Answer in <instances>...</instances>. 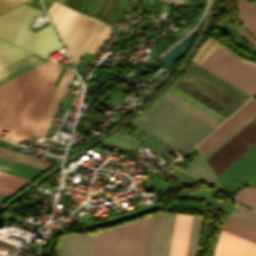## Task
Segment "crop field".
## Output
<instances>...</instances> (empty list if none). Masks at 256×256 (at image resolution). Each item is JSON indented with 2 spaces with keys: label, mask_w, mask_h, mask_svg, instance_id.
<instances>
[{
  "label": "crop field",
  "mask_w": 256,
  "mask_h": 256,
  "mask_svg": "<svg viewBox=\"0 0 256 256\" xmlns=\"http://www.w3.org/2000/svg\"><path fill=\"white\" fill-rule=\"evenodd\" d=\"M176 6H181L184 0H164Z\"/></svg>",
  "instance_id": "0bd39190"
},
{
  "label": "crop field",
  "mask_w": 256,
  "mask_h": 256,
  "mask_svg": "<svg viewBox=\"0 0 256 256\" xmlns=\"http://www.w3.org/2000/svg\"><path fill=\"white\" fill-rule=\"evenodd\" d=\"M94 234L64 235L59 242L58 256H90Z\"/></svg>",
  "instance_id": "22f410ed"
},
{
  "label": "crop field",
  "mask_w": 256,
  "mask_h": 256,
  "mask_svg": "<svg viewBox=\"0 0 256 256\" xmlns=\"http://www.w3.org/2000/svg\"><path fill=\"white\" fill-rule=\"evenodd\" d=\"M256 141V110L204 156L216 176Z\"/></svg>",
  "instance_id": "412701ff"
},
{
  "label": "crop field",
  "mask_w": 256,
  "mask_h": 256,
  "mask_svg": "<svg viewBox=\"0 0 256 256\" xmlns=\"http://www.w3.org/2000/svg\"><path fill=\"white\" fill-rule=\"evenodd\" d=\"M199 65L251 96L256 92V65L238 59L221 46Z\"/></svg>",
  "instance_id": "f4fd0767"
},
{
  "label": "crop field",
  "mask_w": 256,
  "mask_h": 256,
  "mask_svg": "<svg viewBox=\"0 0 256 256\" xmlns=\"http://www.w3.org/2000/svg\"><path fill=\"white\" fill-rule=\"evenodd\" d=\"M46 59L37 56L35 54H30L23 59L13 63L12 65L4 68L0 71V83L20 74L21 72L45 61Z\"/></svg>",
  "instance_id": "bc2a9ffb"
},
{
  "label": "crop field",
  "mask_w": 256,
  "mask_h": 256,
  "mask_svg": "<svg viewBox=\"0 0 256 256\" xmlns=\"http://www.w3.org/2000/svg\"><path fill=\"white\" fill-rule=\"evenodd\" d=\"M106 1H107V0H106ZM106 1H105V3H106ZM111 1H112V0H111ZM117 1H118V0H116V3H117ZM119 1H120V0H119ZM119 1H118L117 5H116V3H115L116 7H115V5H114L115 9H114V7H113L114 11H113L112 15L114 14V12H115V10H116V8H117V6H118V4H119ZM109 2H110V0L107 1V4H106L105 7H104V5H105V3H104V5H103L104 9H103V7H102L103 11H102V9H101L102 12L100 11L101 14H100V12H99L100 16H99V14H98V15H97V18H98V16H99V19H100V17H101V16L103 15V13L105 12V10H106V8H107ZM114 2H115V0H113L112 3L110 2V3H111V5L109 4V5H110V8L108 7L109 10H108V9H107L108 11L106 10V11H107V13L105 12L106 15H105V13H104V15H105V16L103 15L104 18H103V16H102L103 20H102V18H101V20H102L103 22H104V20L107 18V16L110 14L111 8H112ZM113 9H112V10H113ZM112 15H111V16L109 15L110 18L112 17ZM114 15H115V14H114ZM114 15H113V16H114ZM109 16H108V18H109ZM108 18H107V19H108ZM110 18H109V19H110ZM112 18H113V17H112ZM112 18H111V19H112ZM107 19H106V20H107ZM109 19L107 20V23H108ZM111 19H110V21H111ZM106 20H105V22H106ZM110 21H109V22H110ZM108 24H109V23H108Z\"/></svg>",
  "instance_id": "120bbe31"
},
{
  "label": "crop field",
  "mask_w": 256,
  "mask_h": 256,
  "mask_svg": "<svg viewBox=\"0 0 256 256\" xmlns=\"http://www.w3.org/2000/svg\"><path fill=\"white\" fill-rule=\"evenodd\" d=\"M184 171L207 181L208 183L212 184L213 186L217 187L218 189L224 192L222 186L214 177L206 161L197 157L191 164H189L184 169Z\"/></svg>",
  "instance_id": "92a150f3"
},
{
  "label": "crop field",
  "mask_w": 256,
  "mask_h": 256,
  "mask_svg": "<svg viewBox=\"0 0 256 256\" xmlns=\"http://www.w3.org/2000/svg\"><path fill=\"white\" fill-rule=\"evenodd\" d=\"M0 245H3L5 247L11 248V249L15 248V246H12V245H9V244L3 243V242H0Z\"/></svg>",
  "instance_id": "c035e120"
},
{
  "label": "crop field",
  "mask_w": 256,
  "mask_h": 256,
  "mask_svg": "<svg viewBox=\"0 0 256 256\" xmlns=\"http://www.w3.org/2000/svg\"><path fill=\"white\" fill-rule=\"evenodd\" d=\"M29 72L30 70L0 85V120L14 99L15 95L17 94L18 90L22 86Z\"/></svg>",
  "instance_id": "4a817a6b"
},
{
  "label": "crop field",
  "mask_w": 256,
  "mask_h": 256,
  "mask_svg": "<svg viewBox=\"0 0 256 256\" xmlns=\"http://www.w3.org/2000/svg\"><path fill=\"white\" fill-rule=\"evenodd\" d=\"M96 1H97V0L94 1V3H93V5H92L91 9L88 11L87 15H89V13H90V11L92 10L93 6L95 5ZM104 1H105V0L102 1V3H101V5H100L99 8H98V6H99L101 0H98V1H97L96 5L94 6L93 10H92L91 13H90L91 16H93V14L95 13V11H96L97 8H98V10L96 11V13L94 14V17H96V15H97L98 12L100 11V9H101V7H102Z\"/></svg>",
  "instance_id": "d32e631a"
},
{
  "label": "crop field",
  "mask_w": 256,
  "mask_h": 256,
  "mask_svg": "<svg viewBox=\"0 0 256 256\" xmlns=\"http://www.w3.org/2000/svg\"><path fill=\"white\" fill-rule=\"evenodd\" d=\"M7 197H8V195H4V194L0 193V202H2Z\"/></svg>",
  "instance_id": "c21b1889"
},
{
  "label": "crop field",
  "mask_w": 256,
  "mask_h": 256,
  "mask_svg": "<svg viewBox=\"0 0 256 256\" xmlns=\"http://www.w3.org/2000/svg\"><path fill=\"white\" fill-rule=\"evenodd\" d=\"M79 13L70 10L64 6L58 11V13L52 19L61 39L65 36L73 23L79 17Z\"/></svg>",
  "instance_id": "dafd665d"
},
{
  "label": "crop field",
  "mask_w": 256,
  "mask_h": 256,
  "mask_svg": "<svg viewBox=\"0 0 256 256\" xmlns=\"http://www.w3.org/2000/svg\"><path fill=\"white\" fill-rule=\"evenodd\" d=\"M123 1H124V0L121 1V5H122ZM121 5H120V7H121ZM119 9H120V8H119ZM118 11H119V10H118ZM117 13H118V12H117ZM117 13H116V15H117ZM116 15H115V16H116ZM115 16H114V18H115ZM114 18H113V19H114ZM113 19H112V21H113ZM112 21L110 22V25H111Z\"/></svg>",
  "instance_id": "b54c1fbb"
},
{
  "label": "crop field",
  "mask_w": 256,
  "mask_h": 256,
  "mask_svg": "<svg viewBox=\"0 0 256 256\" xmlns=\"http://www.w3.org/2000/svg\"><path fill=\"white\" fill-rule=\"evenodd\" d=\"M74 73V70L67 68L34 135L44 136Z\"/></svg>",
  "instance_id": "5142ce71"
},
{
  "label": "crop field",
  "mask_w": 256,
  "mask_h": 256,
  "mask_svg": "<svg viewBox=\"0 0 256 256\" xmlns=\"http://www.w3.org/2000/svg\"><path fill=\"white\" fill-rule=\"evenodd\" d=\"M141 1V0H140Z\"/></svg>",
  "instance_id": "89e229c0"
},
{
  "label": "crop field",
  "mask_w": 256,
  "mask_h": 256,
  "mask_svg": "<svg viewBox=\"0 0 256 256\" xmlns=\"http://www.w3.org/2000/svg\"><path fill=\"white\" fill-rule=\"evenodd\" d=\"M231 217L236 218L240 221H243L247 224H250L254 227H256V213L240 206V205H236V207L234 208Z\"/></svg>",
  "instance_id": "d3111659"
},
{
  "label": "crop field",
  "mask_w": 256,
  "mask_h": 256,
  "mask_svg": "<svg viewBox=\"0 0 256 256\" xmlns=\"http://www.w3.org/2000/svg\"><path fill=\"white\" fill-rule=\"evenodd\" d=\"M215 256H256V244L222 230Z\"/></svg>",
  "instance_id": "d1516ede"
},
{
  "label": "crop field",
  "mask_w": 256,
  "mask_h": 256,
  "mask_svg": "<svg viewBox=\"0 0 256 256\" xmlns=\"http://www.w3.org/2000/svg\"><path fill=\"white\" fill-rule=\"evenodd\" d=\"M79 1H80V0L77 1L76 5L74 6V9H75L76 6L78 5ZM82 1H83V0H81L80 4L82 3ZM87 1H88V0H84L83 3L81 4V6H80V4L77 6V8L80 6V7L78 8V11L81 12V10H82V9L84 8V6L86 5ZM77 8H76V10H77Z\"/></svg>",
  "instance_id": "e1f06a70"
},
{
  "label": "crop field",
  "mask_w": 256,
  "mask_h": 256,
  "mask_svg": "<svg viewBox=\"0 0 256 256\" xmlns=\"http://www.w3.org/2000/svg\"><path fill=\"white\" fill-rule=\"evenodd\" d=\"M65 1V0H64ZM67 1V0H66ZM64 3V2H63ZM66 3V2H65ZM65 5V4H64Z\"/></svg>",
  "instance_id": "73cf0c24"
},
{
  "label": "crop field",
  "mask_w": 256,
  "mask_h": 256,
  "mask_svg": "<svg viewBox=\"0 0 256 256\" xmlns=\"http://www.w3.org/2000/svg\"><path fill=\"white\" fill-rule=\"evenodd\" d=\"M202 217L193 216L186 256H196Z\"/></svg>",
  "instance_id": "ae1a2a85"
},
{
  "label": "crop field",
  "mask_w": 256,
  "mask_h": 256,
  "mask_svg": "<svg viewBox=\"0 0 256 256\" xmlns=\"http://www.w3.org/2000/svg\"><path fill=\"white\" fill-rule=\"evenodd\" d=\"M109 28H110V26L107 25V27L104 29V31L101 33V35L98 37V39L95 41V43L89 49V52L94 54V52L97 50V48L103 42V40L108 38V36L112 32V30H110Z\"/></svg>",
  "instance_id": "bd1437ed"
},
{
  "label": "crop field",
  "mask_w": 256,
  "mask_h": 256,
  "mask_svg": "<svg viewBox=\"0 0 256 256\" xmlns=\"http://www.w3.org/2000/svg\"><path fill=\"white\" fill-rule=\"evenodd\" d=\"M29 180L0 172V192L11 195Z\"/></svg>",
  "instance_id": "730fd06b"
},
{
  "label": "crop field",
  "mask_w": 256,
  "mask_h": 256,
  "mask_svg": "<svg viewBox=\"0 0 256 256\" xmlns=\"http://www.w3.org/2000/svg\"><path fill=\"white\" fill-rule=\"evenodd\" d=\"M76 1H77V0H72V2H71V0H70L71 4H70V2L68 1L69 4H70V7L73 8V6L75 5ZM67 4H68V3H67ZM69 4H68V6H69ZM70 7H69V8H70ZM72 8H71V9H72Z\"/></svg>",
  "instance_id": "03da06ac"
},
{
  "label": "crop field",
  "mask_w": 256,
  "mask_h": 256,
  "mask_svg": "<svg viewBox=\"0 0 256 256\" xmlns=\"http://www.w3.org/2000/svg\"><path fill=\"white\" fill-rule=\"evenodd\" d=\"M192 216L176 215L169 256H185Z\"/></svg>",
  "instance_id": "733c2abd"
},
{
  "label": "crop field",
  "mask_w": 256,
  "mask_h": 256,
  "mask_svg": "<svg viewBox=\"0 0 256 256\" xmlns=\"http://www.w3.org/2000/svg\"><path fill=\"white\" fill-rule=\"evenodd\" d=\"M52 61H48L40 79L38 80L36 86L34 87L33 91L31 92L30 96L28 97V99L26 100L25 104L23 105L22 109L20 110V112L18 113L17 117L15 118V120L13 121L12 125L10 126L9 130L7 131V133L4 136V139L9 140L10 136L12 135L13 131L15 130L16 126L18 125L19 121L21 120L23 114L25 113L26 109L28 108L29 104L31 103L32 99L34 98L41 82L43 81L50 65H51Z\"/></svg>",
  "instance_id": "eef30255"
},
{
  "label": "crop field",
  "mask_w": 256,
  "mask_h": 256,
  "mask_svg": "<svg viewBox=\"0 0 256 256\" xmlns=\"http://www.w3.org/2000/svg\"><path fill=\"white\" fill-rule=\"evenodd\" d=\"M234 198L256 210V187L242 189Z\"/></svg>",
  "instance_id": "750c4746"
},
{
  "label": "crop field",
  "mask_w": 256,
  "mask_h": 256,
  "mask_svg": "<svg viewBox=\"0 0 256 256\" xmlns=\"http://www.w3.org/2000/svg\"><path fill=\"white\" fill-rule=\"evenodd\" d=\"M46 62L47 61L33 67L31 73L27 77L26 81L24 82L23 86L21 87L20 91L18 92L16 98L14 99L13 103L11 104L9 110L7 111L6 115L4 116L2 122L0 123V132L2 129L8 130L13 119L15 118L16 114L18 113L19 109L21 108L22 104L24 103L26 97L28 96L29 92L31 91V89L33 88L35 83L37 82Z\"/></svg>",
  "instance_id": "cbeb9de0"
},
{
  "label": "crop field",
  "mask_w": 256,
  "mask_h": 256,
  "mask_svg": "<svg viewBox=\"0 0 256 256\" xmlns=\"http://www.w3.org/2000/svg\"><path fill=\"white\" fill-rule=\"evenodd\" d=\"M42 11L24 4L0 16V38L43 56L61 47L51 25L33 33L28 23Z\"/></svg>",
  "instance_id": "34b2d1b8"
},
{
  "label": "crop field",
  "mask_w": 256,
  "mask_h": 256,
  "mask_svg": "<svg viewBox=\"0 0 256 256\" xmlns=\"http://www.w3.org/2000/svg\"><path fill=\"white\" fill-rule=\"evenodd\" d=\"M0 171L31 180L43 170L0 157Z\"/></svg>",
  "instance_id": "214f88e0"
},
{
  "label": "crop field",
  "mask_w": 256,
  "mask_h": 256,
  "mask_svg": "<svg viewBox=\"0 0 256 256\" xmlns=\"http://www.w3.org/2000/svg\"><path fill=\"white\" fill-rule=\"evenodd\" d=\"M56 1L60 2V0H56ZM62 1H63V0H61V3H62Z\"/></svg>",
  "instance_id": "425ffa30"
},
{
  "label": "crop field",
  "mask_w": 256,
  "mask_h": 256,
  "mask_svg": "<svg viewBox=\"0 0 256 256\" xmlns=\"http://www.w3.org/2000/svg\"><path fill=\"white\" fill-rule=\"evenodd\" d=\"M54 66H55V64L53 63L52 66H51V68H50V70L48 71V73H47L45 79H44V82H47V80H48V78H49V76H50V74H51V72H52Z\"/></svg>",
  "instance_id": "b80d0937"
},
{
  "label": "crop field",
  "mask_w": 256,
  "mask_h": 256,
  "mask_svg": "<svg viewBox=\"0 0 256 256\" xmlns=\"http://www.w3.org/2000/svg\"><path fill=\"white\" fill-rule=\"evenodd\" d=\"M152 217L97 231L91 256H146Z\"/></svg>",
  "instance_id": "ac0d7876"
},
{
  "label": "crop field",
  "mask_w": 256,
  "mask_h": 256,
  "mask_svg": "<svg viewBox=\"0 0 256 256\" xmlns=\"http://www.w3.org/2000/svg\"><path fill=\"white\" fill-rule=\"evenodd\" d=\"M0 156L4 158H8L11 160H15L18 162H22L25 164H29L32 166H36L39 168L47 169L52 163L47 162L45 160H41L35 157H31L25 154H21L15 151H11L8 149H4L0 147Z\"/></svg>",
  "instance_id": "4177f3b9"
},
{
  "label": "crop field",
  "mask_w": 256,
  "mask_h": 256,
  "mask_svg": "<svg viewBox=\"0 0 256 256\" xmlns=\"http://www.w3.org/2000/svg\"><path fill=\"white\" fill-rule=\"evenodd\" d=\"M142 2H145V0H142Z\"/></svg>",
  "instance_id": "25e5ab78"
},
{
  "label": "crop field",
  "mask_w": 256,
  "mask_h": 256,
  "mask_svg": "<svg viewBox=\"0 0 256 256\" xmlns=\"http://www.w3.org/2000/svg\"><path fill=\"white\" fill-rule=\"evenodd\" d=\"M31 52L0 40V69L23 58Z\"/></svg>",
  "instance_id": "00972430"
},
{
  "label": "crop field",
  "mask_w": 256,
  "mask_h": 256,
  "mask_svg": "<svg viewBox=\"0 0 256 256\" xmlns=\"http://www.w3.org/2000/svg\"><path fill=\"white\" fill-rule=\"evenodd\" d=\"M224 230L256 243V228L229 217Z\"/></svg>",
  "instance_id": "a9b5d70f"
},
{
  "label": "crop field",
  "mask_w": 256,
  "mask_h": 256,
  "mask_svg": "<svg viewBox=\"0 0 256 256\" xmlns=\"http://www.w3.org/2000/svg\"><path fill=\"white\" fill-rule=\"evenodd\" d=\"M26 0H0V14L21 4Z\"/></svg>",
  "instance_id": "1d83c4d3"
},
{
  "label": "crop field",
  "mask_w": 256,
  "mask_h": 256,
  "mask_svg": "<svg viewBox=\"0 0 256 256\" xmlns=\"http://www.w3.org/2000/svg\"><path fill=\"white\" fill-rule=\"evenodd\" d=\"M237 3L241 23L245 26L244 29L256 38V2H248V0H237ZM244 29L236 32L247 42L256 46V39L253 38Z\"/></svg>",
  "instance_id": "d9b57169"
},
{
  "label": "crop field",
  "mask_w": 256,
  "mask_h": 256,
  "mask_svg": "<svg viewBox=\"0 0 256 256\" xmlns=\"http://www.w3.org/2000/svg\"><path fill=\"white\" fill-rule=\"evenodd\" d=\"M61 5L57 4V3H53L51 5V7L47 10L50 18L52 19L53 16L56 14V12L60 9Z\"/></svg>",
  "instance_id": "5866460e"
},
{
  "label": "crop field",
  "mask_w": 256,
  "mask_h": 256,
  "mask_svg": "<svg viewBox=\"0 0 256 256\" xmlns=\"http://www.w3.org/2000/svg\"><path fill=\"white\" fill-rule=\"evenodd\" d=\"M106 25L97 20L80 16L62 42L76 66L80 57L85 54Z\"/></svg>",
  "instance_id": "e52e79f7"
},
{
  "label": "crop field",
  "mask_w": 256,
  "mask_h": 256,
  "mask_svg": "<svg viewBox=\"0 0 256 256\" xmlns=\"http://www.w3.org/2000/svg\"><path fill=\"white\" fill-rule=\"evenodd\" d=\"M174 217L171 214H154L147 256H168Z\"/></svg>",
  "instance_id": "3316defc"
},
{
  "label": "crop field",
  "mask_w": 256,
  "mask_h": 256,
  "mask_svg": "<svg viewBox=\"0 0 256 256\" xmlns=\"http://www.w3.org/2000/svg\"><path fill=\"white\" fill-rule=\"evenodd\" d=\"M91 0H89L88 4L86 5V7L83 9L82 13H84V11L86 10L87 6L89 5Z\"/></svg>",
  "instance_id": "5d738f31"
},
{
  "label": "crop field",
  "mask_w": 256,
  "mask_h": 256,
  "mask_svg": "<svg viewBox=\"0 0 256 256\" xmlns=\"http://www.w3.org/2000/svg\"><path fill=\"white\" fill-rule=\"evenodd\" d=\"M129 2H130V0H125V1H124V4H123V6H122L120 12L118 13V15H117V17L115 18L114 21H118V22L120 21V19H121L123 13H124L126 7L128 6Z\"/></svg>",
  "instance_id": "028f5c9d"
},
{
  "label": "crop field",
  "mask_w": 256,
  "mask_h": 256,
  "mask_svg": "<svg viewBox=\"0 0 256 256\" xmlns=\"http://www.w3.org/2000/svg\"><path fill=\"white\" fill-rule=\"evenodd\" d=\"M61 67V65L56 64L47 84L42 83L38 93L36 94L26 113L24 114L13 135L11 136L10 141L17 144L20 142L21 139L30 141L31 136L34 134L45 112V109L56 89L53 84L57 78Z\"/></svg>",
  "instance_id": "dd49c442"
},
{
  "label": "crop field",
  "mask_w": 256,
  "mask_h": 256,
  "mask_svg": "<svg viewBox=\"0 0 256 256\" xmlns=\"http://www.w3.org/2000/svg\"><path fill=\"white\" fill-rule=\"evenodd\" d=\"M256 172V143L217 177L230 195Z\"/></svg>",
  "instance_id": "d8731c3e"
},
{
  "label": "crop field",
  "mask_w": 256,
  "mask_h": 256,
  "mask_svg": "<svg viewBox=\"0 0 256 256\" xmlns=\"http://www.w3.org/2000/svg\"><path fill=\"white\" fill-rule=\"evenodd\" d=\"M92 2H93V0L91 1V3H90V5H89L88 9L86 10V12H87V11L89 10V8L91 7ZM86 12H85V14H86Z\"/></svg>",
  "instance_id": "d23c7cc5"
},
{
  "label": "crop field",
  "mask_w": 256,
  "mask_h": 256,
  "mask_svg": "<svg viewBox=\"0 0 256 256\" xmlns=\"http://www.w3.org/2000/svg\"><path fill=\"white\" fill-rule=\"evenodd\" d=\"M163 99L213 129L226 119L174 86Z\"/></svg>",
  "instance_id": "5a996713"
},
{
  "label": "crop field",
  "mask_w": 256,
  "mask_h": 256,
  "mask_svg": "<svg viewBox=\"0 0 256 256\" xmlns=\"http://www.w3.org/2000/svg\"><path fill=\"white\" fill-rule=\"evenodd\" d=\"M256 109V101L251 99L244 106H242L236 113H234L228 120H226L219 128L204 139L197 147L204 155L215 144H217L224 136H226L232 129H234L240 122H242L249 114Z\"/></svg>",
  "instance_id": "28ad6ade"
},
{
  "label": "crop field",
  "mask_w": 256,
  "mask_h": 256,
  "mask_svg": "<svg viewBox=\"0 0 256 256\" xmlns=\"http://www.w3.org/2000/svg\"><path fill=\"white\" fill-rule=\"evenodd\" d=\"M132 124L184 154L213 130L163 99Z\"/></svg>",
  "instance_id": "8a807250"
}]
</instances>
